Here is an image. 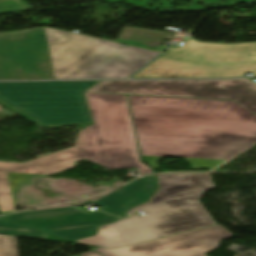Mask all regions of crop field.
<instances>
[{"mask_svg": "<svg viewBox=\"0 0 256 256\" xmlns=\"http://www.w3.org/2000/svg\"><path fill=\"white\" fill-rule=\"evenodd\" d=\"M128 97L142 161L153 169L162 156L214 168L256 144V115L233 101Z\"/></svg>", "mask_w": 256, "mask_h": 256, "instance_id": "1", "label": "crop field"}, {"mask_svg": "<svg viewBox=\"0 0 256 256\" xmlns=\"http://www.w3.org/2000/svg\"><path fill=\"white\" fill-rule=\"evenodd\" d=\"M161 53L38 28L0 33V80L127 78Z\"/></svg>", "mask_w": 256, "mask_h": 256, "instance_id": "2", "label": "crop field"}, {"mask_svg": "<svg viewBox=\"0 0 256 256\" xmlns=\"http://www.w3.org/2000/svg\"><path fill=\"white\" fill-rule=\"evenodd\" d=\"M94 125L81 131L71 148L26 162H0V213L16 211L21 184L31 176H49L86 159L110 169L137 167L139 175L153 173L140 161L126 95L85 92Z\"/></svg>", "mask_w": 256, "mask_h": 256, "instance_id": "3", "label": "crop field"}, {"mask_svg": "<svg viewBox=\"0 0 256 256\" xmlns=\"http://www.w3.org/2000/svg\"><path fill=\"white\" fill-rule=\"evenodd\" d=\"M160 189L152 200L127 213L142 210L147 215L102 226L96 237L78 243L117 248L217 224L199 202L215 188L209 174L158 175Z\"/></svg>", "mask_w": 256, "mask_h": 256, "instance_id": "4", "label": "crop field"}, {"mask_svg": "<svg viewBox=\"0 0 256 256\" xmlns=\"http://www.w3.org/2000/svg\"><path fill=\"white\" fill-rule=\"evenodd\" d=\"M256 76V42L224 44L189 38L170 48L132 78H216Z\"/></svg>", "mask_w": 256, "mask_h": 256, "instance_id": "5", "label": "crop field"}, {"mask_svg": "<svg viewBox=\"0 0 256 256\" xmlns=\"http://www.w3.org/2000/svg\"><path fill=\"white\" fill-rule=\"evenodd\" d=\"M98 82L0 83V103L43 127L93 124L84 91Z\"/></svg>", "mask_w": 256, "mask_h": 256, "instance_id": "6", "label": "crop field"}, {"mask_svg": "<svg viewBox=\"0 0 256 256\" xmlns=\"http://www.w3.org/2000/svg\"><path fill=\"white\" fill-rule=\"evenodd\" d=\"M88 91L234 100L256 114V84L249 79L196 81H101Z\"/></svg>", "mask_w": 256, "mask_h": 256, "instance_id": "7", "label": "crop field"}, {"mask_svg": "<svg viewBox=\"0 0 256 256\" xmlns=\"http://www.w3.org/2000/svg\"><path fill=\"white\" fill-rule=\"evenodd\" d=\"M232 236L234 234L220 224L128 247L95 250L105 256H207L204 253L217 249L222 240ZM76 256L101 255L89 251Z\"/></svg>", "mask_w": 256, "mask_h": 256, "instance_id": "8", "label": "crop field"}, {"mask_svg": "<svg viewBox=\"0 0 256 256\" xmlns=\"http://www.w3.org/2000/svg\"><path fill=\"white\" fill-rule=\"evenodd\" d=\"M6 218L67 240L95 235L98 225L119 219L102 212L82 213L73 207L24 212Z\"/></svg>", "mask_w": 256, "mask_h": 256, "instance_id": "9", "label": "crop field"}, {"mask_svg": "<svg viewBox=\"0 0 256 256\" xmlns=\"http://www.w3.org/2000/svg\"><path fill=\"white\" fill-rule=\"evenodd\" d=\"M156 190L155 177L149 176L131 182L95 201L100 210L121 216L129 207L147 200Z\"/></svg>", "mask_w": 256, "mask_h": 256, "instance_id": "10", "label": "crop field"}, {"mask_svg": "<svg viewBox=\"0 0 256 256\" xmlns=\"http://www.w3.org/2000/svg\"><path fill=\"white\" fill-rule=\"evenodd\" d=\"M176 33L125 27L116 41L156 50L164 40H172Z\"/></svg>", "mask_w": 256, "mask_h": 256, "instance_id": "11", "label": "crop field"}, {"mask_svg": "<svg viewBox=\"0 0 256 256\" xmlns=\"http://www.w3.org/2000/svg\"><path fill=\"white\" fill-rule=\"evenodd\" d=\"M0 234L57 241L53 239V237H50L49 235H47L42 231L30 229V228H27L12 222H8V221L0 223ZM57 242H60V241H57Z\"/></svg>", "mask_w": 256, "mask_h": 256, "instance_id": "12", "label": "crop field"}, {"mask_svg": "<svg viewBox=\"0 0 256 256\" xmlns=\"http://www.w3.org/2000/svg\"><path fill=\"white\" fill-rule=\"evenodd\" d=\"M0 256H18L16 237L0 235Z\"/></svg>", "mask_w": 256, "mask_h": 256, "instance_id": "13", "label": "crop field"}, {"mask_svg": "<svg viewBox=\"0 0 256 256\" xmlns=\"http://www.w3.org/2000/svg\"><path fill=\"white\" fill-rule=\"evenodd\" d=\"M32 9L22 0H0V13Z\"/></svg>", "mask_w": 256, "mask_h": 256, "instance_id": "14", "label": "crop field"}, {"mask_svg": "<svg viewBox=\"0 0 256 256\" xmlns=\"http://www.w3.org/2000/svg\"><path fill=\"white\" fill-rule=\"evenodd\" d=\"M0 221H4V218H3V217H0Z\"/></svg>", "mask_w": 256, "mask_h": 256, "instance_id": "15", "label": "crop field"}]
</instances>
